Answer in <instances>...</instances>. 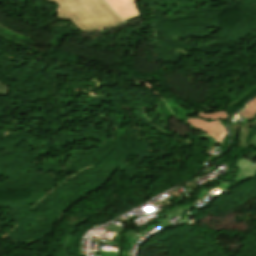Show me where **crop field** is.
Returning <instances> with one entry per match:
<instances>
[{"label":"crop field","mask_w":256,"mask_h":256,"mask_svg":"<svg viewBox=\"0 0 256 256\" xmlns=\"http://www.w3.org/2000/svg\"><path fill=\"white\" fill-rule=\"evenodd\" d=\"M8 92V87L4 83L0 82V96H7Z\"/></svg>","instance_id":"dd49c442"},{"label":"crop field","mask_w":256,"mask_h":256,"mask_svg":"<svg viewBox=\"0 0 256 256\" xmlns=\"http://www.w3.org/2000/svg\"><path fill=\"white\" fill-rule=\"evenodd\" d=\"M106 2L124 20L139 14L135 0H106Z\"/></svg>","instance_id":"f4fd0767"},{"label":"crop field","mask_w":256,"mask_h":256,"mask_svg":"<svg viewBox=\"0 0 256 256\" xmlns=\"http://www.w3.org/2000/svg\"><path fill=\"white\" fill-rule=\"evenodd\" d=\"M58 4L59 20H71L81 32L99 31L123 23L104 0H48Z\"/></svg>","instance_id":"8a807250"},{"label":"crop field","mask_w":256,"mask_h":256,"mask_svg":"<svg viewBox=\"0 0 256 256\" xmlns=\"http://www.w3.org/2000/svg\"><path fill=\"white\" fill-rule=\"evenodd\" d=\"M253 163L249 162L245 158L236 161L237 171L227 177L226 179L220 181L224 185L231 188L233 185L256 176V166H252Z\"/></svg>","instance_id":"34b2d1b8"},{"label":"crop field","mask_w":256,"mask_h":256,"mask_svg":"<svg viewBox=\"0 0 256 256\" xmlns=\"http://www.w3.org/2000/svg\"><path fill=\"white\" fill-rule=\"evenodd\" d=\"M227 119L229 118L226 111H215L209 114L199 112L198 117H194L185 122L215 139L216 142L220 143L221 147L225 149L227 147L225 137L228 136L225 128Z\"/></svg>","instance_id":"ac0d7876"},{"label":"crop field","mask_w":256,"mask_h":256,"mask_svg":"<svg viewBox=\"0 0 256 256\" xmlns=\"http://www.w3.org/2000/svg\"><path fill=\"white\" fill-rule=\"evenodd\" d=\"M139 16H141V15H137V16L131 17V18L127 19L126 21L131 20V19L136 18V17H139Z\"/></svg>","instance_id":"d8731c3e"},{"label":"crop field","mask_w":256,"mask_h":256,"mask_svg":"<svg viewBox=\"0 0 256 256\" xmlns=\"http://www.w3.org/2000/svg\"><path fill=\"white\" fill-rule=\"evenodd\" d=\"M250 142H251V144L256 146V131L254 132L253 137Z\"/></svg>","instance_id":"e52e79f7"},{"label":"crop field","mask_w":256,"mask_h":256,"mask_svg":"<svg viewBox=\"0 0 256 256\" xmlns=\"http://www.w3.org/2000/svg\"><path fill=\"white\" fill-rule=\"evenodd\" d=\"M249 106L243 110L239 115L245 117L250 120L244 126L256 128V97L248 104ZM241 125L234 124L230 122V133L232 139V145H236L237 135L239 133Z\"/></svg>","instance_id":"412701ff"}]
</instances>
